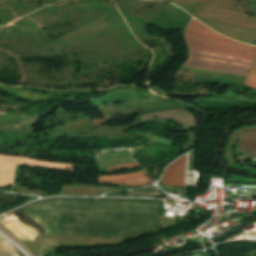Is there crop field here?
<instances>
[{
    "instance_id": "1",
    "label": "crop field",
    "mask_w": 256,
    "mask_h": 256,
    "mask_svg": "<svg viewBox=\"0 0 256 256\" xmlns=\"http://www.w3.org/2000/svg\"><path fill=\"white\" fill-rule=\"evenodd\" d=\"M96 199L52 198L19 210L39 223L46 234L104 238L151 229L160 215L161 201Z\"/></svg>"
},
{
    "instance_id": "2",
    "label": "crop field",
    "mask_w": 256,
    "mask_h": 256,
    "mask_svg": "<svg viewBox=\"0 0 256 256\" xmlns=\"http://www.w3.org/2000/svg\"><path fill=\"white\" fill-rule=\"evenodd\" d=\"M185 38L188 42L189 49L250 60L256 49L255 47L221 36L196 20H191L187 27ZM195 50H189L190 60L184 66L245 75L251 62L250 60Z\"/></svg>"
},
{
    "instance_id": "3",
    "label": "crop field",
    "mask_w": 256,
    "mask_h": 256,
    "mask_svg": "<svg viewBox=\"0 0 256 256\" xmlns=\"http://www.w3.org/2000/svg\"><path fill=\"white\" fill-rule=\"evenodd\" d=\"M154 117H164L168 119H172L179 123L186 130L191 127L197 126L196 120L192 114H190L186 110H170L165 112H155L141 115L138 120L140 123L142 120L155 119Z\"/></svg>"
},
{
    "instance_id": "4",
    "label": "crop field",
    "mask_w": 256,
    "mask_h": 256,
    "mask_svg": "<svg viewBox=\"0 0 256 256\" xmlns=\"http://www.w3.org/2000/svg\"><path fill=\"white\" fill-rule=\"evenodd\" d=\"M185 166L186 155L180 157L166 168L165 173L162 177V185L183 186Z\"/></svg>"
},
{
    "instance_id": "5",
    "label": "crop field",
    "mask_w": 256,
    "mask_h": 256,
    "mask_svg": "<svg viewBox=\"0 0 256 256\" xmlns=\"http://www.w3.org/2000/svg\"><path fill=\"white\" fill-rule=\"evenodd\" d=\"M99 182H109L134 186H143L152 183L144 171L120 176L99 177Z\"/></svg>"
},
{
    "instance_id": "6",
    "label": "crop field",
    "mask_w": 256,
    "mask_h": 256,
    "mask_svg": "<svg viewBox=\"0 0 256 256\" xmlns=\"http://www.w3.org/2000/svg\"><path fill=\"white\" fill-rule=\"evenodd\" d=\"M18 159L19 157L0 155V186L11 184Z\"/></svg>"
},
{
    "instance_id": "7",
    "label": "crop field",
    "mask_w": 256,
    "mask_h": 256,
    "mask_svg": "<svg viewBox=\"0 0 256 256\" xmlns=\"http://www.w3.org/2000/svg\"><path fill=\"white\" fill-rule=\"evenodd\" d=\"M18 164H24L29 166H38V167H48V168H55V169H62V170H68L73 171L71 164H63V163H52V162H44L40 160L35 159H29L22 157ZM74 172V171H73Z\"/></svg>"
},
{
    "instance_id": "8",
    "label": "crop field",
    "mask_w": 256,
    "mask_h": 256,
    "mask_svg": "<svg viewBox=\"0 0 256 256\" xmlns=\"http://www.w3.org/2000/svg\"><path fill=\"white\" fill-rule=\"evenodd\" d=\"M244 83L256 88V51Z\"/></svg>"
},
{
    "instance_id": "9",
    "label": "crop field",
    "mask_w": 256,
    "mask_h": 256,
    "mask_svg": "<svg viewBox=\"0 0 256 256\" xmlns=\"http://www.w3.org/2000/svg\"><path fill=\"white\" fill-rule=\"evenodd\" d=\"M0 256H14L6 242L0 238Z\"/></svg>"
},
{
    "instance_id": "10",
    "label": "crop field",
    "mask_w": 256,
    "mask_h": 256,
    "mask_svg": "<svg viewBox=\"0 0 256 256\" xmlns=\"http://www.w3.org/2000/svg\"><path fill=\"white\" fill-rule=\"evenodd\" d=\"M135 134L144 135V136H146V137L148 138V140H150V142H153V143H155V141H159V142L164 143V144L169 145V146H170V144L173 143V142H171V141H167V140L161 139V138H159V137L152 136V135L149 134V133H148V134H142V133H137V132H135Z\"/></svg>"
},
{
    "instance_id": "11",
    "label": "crop field",
    "mask_w": 256,
    "mask_h": 256,
    "mask_svg": "<svg viewBox=\"0 0 256 256\" xmlns=\"http://www.w3.org/2000/svg\"><path fill=\"white\" fill-rule=\"evenodd\" d=\"M133 166H139V164L138 163H131V164L112 166V167H108V171L109 170H114V169H120V168L133 167Z\"/></svg>"
},
{
    "instance_id": "12",
    "label": "crop field",
    "mask_w": 256,
    "mask_h": 256,
    "mask_svg": "<svg viewBox=\"0 0 256 256\" xmlns=\"http://www.w3.org/2000/svg\"><path fill=\"white\" fill-rule=\"evenodd\" d=\"M244 256H256V251L250 252Z\"/></svg>"
},
{
    "instance_id": "13",
    "label": "crop field",
    "mask_w": 256,
    "mask_h": 256,
    "mask_svg": "<svg viewBox=\"0 0 256 256\" xmlns=\"http://www.w3.org/2000/svg\"><path fill=\"white\" fill-rule=\"evenodd\" d=\"M45 256H58V255H51V254L45 253Z\"/></svg>"
},
{
    "instance_id": "14",
    "label": "crop field",
    "mask_w": 256,
    "mask_h": 256,
    "mask_svg": "<svg viewBox=\"0 0 256 256\" xmlns=\"http://www.w3.org/2000/svg\"><path fill=\"white\" fill-rule=\"evenodd\" d=\"M197 254H194V255H185V256H196Z\"/></svg>"
}]
</instances>
